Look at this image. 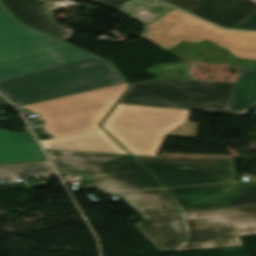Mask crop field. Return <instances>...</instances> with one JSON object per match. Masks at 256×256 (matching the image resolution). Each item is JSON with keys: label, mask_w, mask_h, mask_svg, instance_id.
Segmentation results:
<instances>
[{"label": "crop field", "mask_w": 256, "mask_h": 256, "mask_svg": "<svg viewBox=\"0 0 256 256\" xmlns=\"http://www.w3.org/2000/svg\"><path fill=\"white\" fill-rule=\"evenodd\" d=\"M93 58L18 23L0 3V80Z\"/></svg>", "instance_id": "8a807250"}, {"label": "crop field", "mask_w": 256, "mask_h": 256, "mask_svg": "<svg viewBox=\"0 0 256 256\" xmlns=\"http://www.w3.org/2000/svg\"><path fill=\"white\" fill-rule=\"evenodd\" d=\"M125 82L101 58L0 81V93L17 106Z\"/></svg>", "instance_id": "ac0d7876"}, {"label": "crop field", "mask_w": 256, "mask_h": 256, "mask_svg": "<svg viewBox=\"0 0 256 256\" xmlns=\"http://www.w3.org/2000/svg\"><path fill=\"white\" fill-rule=\"evenodd\" d=\"M190 110L118 104L101 124L132 155L156 157L165 135L196 138ZM117 141V142H118Z\"/></svg>", "instance_id": "34b2d1b8"}, {"label": "crop field", "mask_w": 256, "mask_h": 256, "mask_svg": "<svg viewBox=\"0 0 256 256\" xmlns=\"http://www.w3.org/2000/svg\"><path fill=\"white\" fill-rule=\"evenodd\" d=\"M126 83L111 85L63 98L22 106L37 114L44 131L53 137L95 129L117 101L128 90Z\"/></svg>", "instance_id": "412701ff"}, {"label": "crop field", "mask_w": 256, "mask_h": 256, "mask_svg": "<svg viewBox=\"0 0 256 256\" xmlns=\"http://www.w3.org/2000/svg\"><path fill=\"white\" fill-rule=\"evenodd\" d=\"M120 103L208 110L228 107L235 84L191 80L190 75L131 84Z\"/></svg>", "instance_id": "f4fd0767"}, {"label": "crop field", "mask_w": 256, "mask_h": 256, "mask_svg": "<svg viewBox=\"0 0 256 256\" xmlns=\"http://www.w3.org/2000/svg\"><path fill=\"white\" fill-rule=\"evenodd\" d=\"M60 174L90 175L107 191L161 188L131 155L49 151Z\"/></svg>", "instance_id": "dd49c442"}, {"label": "crop field", "mask_w": 256, "mask_h": 256, "mask_svg": "<svg viewBox=\"0 0 256 256\" xmlns=\"http://www.w3.org/2000/svg\"><path fill=\"white\" fill-rule=\"evenodd\" d=\"M148 28L144 38L167 50L182 40L196 43L207 39L228 49L235 57L256 59V32L224 30L176 9Z\"/></svg>", "instance_id": "e52e79f7"}, {"label": "crop field", "mask_w": 256, "mask_h": 256, "mask_svg": "<svg viewBox=\"0 0 256 256\" xmlns=\"http://www.w3.org/2000/svg\"><path fill=\"white\" fill-rule=\"evenodd\" d=\"M187 240L173 251L243 245L239 236L256 235V206L181 212Z\"/></svg>", "instance_id": "d8731c3e"}, {"label": "crop field", "mask_w": 256, "mask_h": 256, "mask_svg": "<svg viewBox=\"0 0 256 256\" xmlns=\"http://www.w3.org/2000/svg\"><path fill=\"white\" fill-rule=\"evenodd\" d=\"M118 194L135 207L147 221L134 225L159 252L170 251L185 239L178 211L164 189Z\"/></svg>", "instance_id": "5a996713"}, {"label": "crop field", "mask_w": 256, "mask_h": 256, "mask_svg": "<svg viewBox=\"0 0 256 256\" xmlns=\"http://www.w3.org/2000/svg\"><path fill=\"white\" fill-rule=\"evenodd\" d=\"M135 158L163 187L237 181L232 158Z\"/></svg>", "instance_id": "3316defc"}, {"label": "crop field", "mask_w": 256, "mask_h": 256, "mask_svg": "<svg viewBox=\"0 0 256 256\" xmlns=\"http://www.w3.org/2000/svg\"><path fill=\"white\" fill-rule=\"evenodd\" d=\"M180 211L256 205V181L166 189Z\"/></svg>", "instance_id": "28ad6ade"}, {"label": "crop field", "mask_w": 256, "mask_h": 256, "mask_svg": "<svg viewBox=\"0 0 256 256\" xmlns=\"http://www.w3.org/2000/svg\"><path fill=\"white\" fill-rule=\"evenodd\" d=\"M222 27L232 28L256 11L250 0H161Z\"/></svg>", "instance_id": "d1516ede"}, {"label": "crop field", "mask_w": 256, "mask_h": 256, "mask_svg": "<svg viewBox=\"0 0 256 256\" xmlns=\"http://www.w3.org/2000/svg\"><path fill=\"white\" fill-rule=\"evenodd\" d=\"M7 9L20 21L62 40L77 31L57 23L49 10H39L40 0H2ZM55 37V38H56Z\"/></svg>", "instance_id": "22f410ed"}, {"label": "crop field", "mask_w": 256, "mask_h": 256, "mask_svg": "<svg viewBox=\"0 0 256 256\" xmlns=\"http://www.w3.org/2000/svg\"><path fill=\"white\" fill-rule=\"evenodd\" d=\"M106 133L100 130L59 139L43 140L41 143L48 150L129 154Z\"/></svg>", "instance_id": "cbeb9de0"}, {"label": "crop field", "mask_w": 256, "mask_h": 256, "mask_svg": "<svg viewBox=\"0 0 256 256\" xmlns=\"http://www.w3.org/2000/svg\"><path fill=\"white\" fill-rule=\"evenodd\" d=\"M47 161L34 138L0 129V164Z\"/></svg>", "instance_id": "5142ce71"}, {"label": "crop field", "mask_w": 256, "mask_h": 256, "mask_svg": "<svg viewBox=\"0 0 256 256\" xmlns=\"http://www.w3.org/2000/svg\"><path fill=\"white\" fill-rule=\"evenodd\" d=\"M256 106V68L242 67L227 112L246 114Z\"/></svg>", "instance_id": "d9b57169"}, {"label": "crop field", "mask_w": 256, "mask_h": 256, "mask_svg": "<svg viewBox=\"0 0 256 256\" xmlns=\"http://www.w3.org/2000/svg\"><path fill=\"white\" fill-rule=\"evenodd\" d=\"M54 173L49 162L0 165V177Z\"/></svg>", "instance_id": "733c2abd"}, {"label": "crop field", "mask_w": 256, "mask_h": 256, "mask_svg": "<svg viewBox=\"0 0 256 256\" xmlns=\"http://www.w3.org/2000/svg\"><path fill=\"white\" fill-rule=\"evenodd\" d=\"M172 9L173 8L161 2H156L151 6L145 8L144 10L140 11L139 13L133 15V18L147 25Z\"/></svg>", "instance_id": "4a817a6b"}, {"label": "crop field", "mask_w": 256, "mask_h": 256, "mask_svg": "<svg viewBox=\"0 0 256 256\" xmlns=\"http://www.w3.org/2000/svg\"><path fill=\"white\" fill-rule=\"evenodd\" d=\"M153 1L154 0H130L117 9H119L131 16L134 13L141 10L142 8L149 5L150 3H152Z\"/></svg>", "instance_id": "bc2a9ffb"}, {"label": "crop field", "mask_w": 256, "mask_h": 256, "mask_svg": "<svg viewBox=\"0 0 256 256\" xmlns=\"http://www.w3.org/2000/svg\"><path fill=\"white\" fill-rule=\"evenodd\" d=\"M234 29L256 30V12L236 25Z\"/></svg>", "instance_id": "214f88e0"}, {"label": "crop field", "mask_w": 256, "mask_h": 256, "mask_svg": "<svg viewBox=\"0 0 256 256\" xmlns=\"http://www.w3.org/2000/svg\"><path fill=\"white\" fill-rule=\"evenodd\" d=\"M94 1L103 3L105 5H108V6H111V7H114V8H117L128 0H94Z\"/></svg>", "instance_id": "92a150f3"}, {"label": "crop field", "mask_w": 256, "mask_h": 256, "mask_svg": "<svg viewBox=\"0 0 256 256\" xmlns=\"http://www.w3.org/2000/svg\"><path fill=\"white\" fill-rule=\"evenodd\" d=\"M0 105H6L11 106L8 102H6L1 96H0Z\"/></svg>", "instance_id": "dafd665d"}, {"label": "crop field", "mask_w": 256, "mask_h": 256, "mask_svg": "<svg viewBox=\"0 0 256 256\" xmlns=\"http://www.w3.org/2000/svg\"><path fill=\"white\" fill-rule=\"evenodd\" d=\"M228 108L216 107L214 111L226 112Z\"/></svg>", "instance_id": "00972430"}, {"label": "crop field", "mask_w": 256, "mask_h": 256, "mask_svg": "<svg viewBox=\"0 0 256 256\" xmlns=\"http://www.w3.org/2000/svg\"><path fill=\"white\" fill-rule=\"evenodd\" d=\"M252 1H255V2H256V0H252Z\"/></svg>", "instance_id": "a9b5d70f"}]
</instances>
